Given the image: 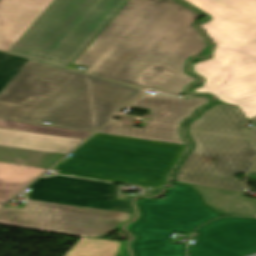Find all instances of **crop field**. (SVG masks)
<instances>
[{
	"label": "crop field",
	"instance_id": "8a807250",
	"mask_svg": "<svg viewBox=\"0 0 256 256\" xmlns=\"http://www.w3.org/2000/svg\"><path fill=\"white\" fill-rule=\"evenodd\" d=\"M200 16L173 0H129L74 64L179 97L197 80L184 71L188 58L208 46L192 27Z\"/></svg>",
	"mask_w": 256,
	"mask_h": 256
},
{
	"label": "crop field",
	"instance_id": "ac0d7876",
	"mask_svg": "<svg viewBox=\"0 0 256 256\" xmlns=\"http://www.w3.org/2000/svg\"><path fill=\"white\" fill-rule=\"evenodd\" d=\"M143 92L31 60L0 94V119L96 131Z\"/></svg>",
	"mask_w": 256,
	"mask_h": 256
},
{
	"label": "crop field",
	"instance_id": "34b2d1b8",
	"mask_svg": "<svg viewBox=\"0 0 256 256\" xmlns=\"http://www.w3.org/2000/svg\"><path fill=\"white\" fill-rule=\"evenodd\" d=\"M29 187L23 209L0 212L1 225L99 237L132 218L130 203L115 201L110 183L43 175Z\"/></svg>",
	"mask_w": 256,
	"mask_h": 256
},
{
	"label": "crop field",
	"instance_id": "412701ff",
	"mask_svg": "<svg viewBox=\"0 0 256 256\" xmlns=\"http://www.w3.org/2000/svg\"><path fill=\"white\" fill-rule=\"evenodd\" d=\"M212 15L200 25L215 44L214 58L195 65L206 78L195 91L225 100L256 90V0H186ZM241 108L247 119L256 116V92L224 101Z\"/></svg>",
	"mask_w": 256,
	"mask_h": 256
},
{
	"label": "crop field",
	"instance_id": "f4fd0767",
	"mask_svg": "<svg viewBox=\"0 0 256 256\" xmlns=\"http://www.w3.org/2000/svg\"><path fill=\"white\" fill-rule=\"evenodd\" d=\"M246 120L241 109L218 104L191 122L188 134L194 148L179 167L176 180L243 192L245 186L233 175L247 174L256 157V147L242 126Z\"/></svg>",
	"mask_w": 256,
	"mask_h": 256
},
{
	"label": "crop field",
	"instance_id": "dd49c442",
	"mask_svg": "<svg viewBox=\"0 0 256 256\" xmlns=\"http://www.w3.org/2000/svg\"><path fill=\"white\" fill-rule=\"evenodd\" d=\"M184 147L96 133L52 169L62 175L161 189Z\"/></svg>",
	"mask_w": 256,
	"mask_h": 256
},
{
	"label": "crop field",
	"instance_id": "e52e79f7",
	"mask_svg": "<svg viewBox=\"0 0 256 256\" xmlns=\"http://www.w3.org/2000/svg\"><path fill=\"white\" fill-rule=\"evenodd\" d=\"M126 2L55 0L9 52L67 67Z\"/></svg>",
	"mask_w": 256,
	"mask_h": 256
},
{
	"label": "crop field",
	"instance_id": "d8731c3e",
	"mask_svg": "<svg viewBox=\"0 0 256 256\" xmlns=\"http://www.w3.org/2000/svg\"><path fill=\"white\" fill-rule=\"evenodd\" d=\"M137 205L143 216L129 227L139 235L132 244L136 256H185V245L169 244L172 232L190 233L221 216L205 206L192 188L183 186L172 187L161 201L144 200Z\"/></svg>",
	"mask_w": 256,
	"mask_h": 256
},
{
	"label": "crop field",
	"instance_id": "5a996713",
	"mask_svg": "<svg viewBox=\"0 0 256 256\" xmlns=\"http://www.w3.org/2000/svg\"><path fill=\"white\" fill-rule=\"evenodd\" d=\"M207 103L208 96L184 100L161 94L143 95L130 106L151 109L144 128L125 127L121 121L112 119L97 132L186 145L180 135V124Z\"/></svg>",
	"mask_w": 256,
	"mask_h": 256
},
{
	"label": "crop field",
	"instance_id": "3316defc",
	"mask_svg": "<svg viewBox=\"0 0 256 256\" xmlns=\"http://www.w3.org/2000/svg\"><path fill=\"white\" fill-rule=\"evenodd\" d=\"M81 139L0 129V161L48 168Z\"/></svg>",
	"mask_w": 256,
	"mask_h": 256
},
{
	"label": "crop field",
	"instance_id": "28ad6ade",
	"mask_svg": "<svg viewBox=\"0 0 256 256\" xmlns=\"http://www.w3.org/2000/svg\"><path fill=\"white\" fill-rule=\"evenodd\" d=\"M202 232L189 256H246L256 253V219L225 218L213 221Z\"/></svg>",
	"mask_w": 256,
	"mask_h": 256
},
{
	"label": "crop field",
	"instance_id": "d1516ede",
	"mask_svg": "<svg viewBox=\"0 0 256 256\" xmlns=\"http://www.w3.org/2000/svg\"><path fill=\"white\" fill-rule=\"evenodd\" d=\"M53 1L0 0V49L8 51Z\"/></svg>",
	"mask_w": 256,
	"mask_h": 256
},
{
	"label": "crop field",
	"instance_id": "22f410ed",
	"mask_svg": "<svg viewBox=\"0 0 256 256\" xmlns=\"http://www.w3.org/2000/svg\"><path fill=\"white\" fill-rule=\"evenodd\" d=\"M193 187L203 195L207 205L223 215L256 217V199L243 197L239 192Z\"/></svg>",
	"mask_w": 256,
	"mask_h": 256
},
{
	"label": "crop field",
	"instance_id": "cbeb9de0",
	"mask_svg": "<svg viewBox=\"0 0 256 256\" xmlns=\"http://www.w3.org/2000/svg\"><path fill=\"white\" fill-rule=\"evenodd\" d=\"M45 170L0 162V203H5Z\"/></svg>",
	"mask_w": 256,
	"mask_h": 256
},
{
	"label": "crop field",
	"instance_id": "5142ce71",
	"mask_svg": "<svg viewBox=\"0 0 256 256\" xmlns=\"http://www.w3.org/2000/svg\"><path fill=\"white\" fill-rule=\"evenodd\" d=\"M66 256H129L126 243L81 239Z\"/></svg>",
	"mask_w": 256,
	"mask_h": 256
},
{
	"label": "crop field",
	"instance_id": "d9b57169",
	"mask_svg": "<svg viewBox=\"0 0 256 256\" xmlns=\"http://www.w3.org/2000/svg\"><path fill=\"white\" fill-rule=\"evenodd\" d=\"M0 128L31 131V132L60 135V136H67V137H74V138H81V139H85L90 134H92L90 132L55 128V127L38 126V125H31V124L4 121V120H0Z\"/></svg>",
	"mask_w": 256,
	"mask_h": 256
},
{
	"label": "crop field",
	"instance_id": "733c2abd",
	"mask_svg": "<svg viewBox=\"0 0 256 256\" xmlns=\"http://www.w3.org/2000/svg\"><path fill=\"white\" fill-rule=\"evenodd\" d=\"M28 61L29 59L0 52V92Z\"/></svg>",
	"mask_w": 256,
	"mask_h": 256
},
{
	"label": "crop field",
	"instance_id": "4a817a6b",
	"mask_svg": "<svg viewBox=\"0 0 256 256\" xmlns=\"http://www.w3.org/2000/svg\"><path fill=\"white\" fill-rule=\"evenodd\" d=\"M248 132L250 133V135L254 138V140L256 141V127L248 129ZM250 173H256V162L251 170Z\"/></svg>",
	"mask_w": 256,
	"mask_h": 256
},
{
	"label": "crop field",
	"instance_id": "bc2a9ffb",
	"mask_svg": "<svg viewBox=\"0 0 256 256\" xmlns=\"http://www.w3.org/2000/svg\"><path fill=\"white\" fill-rule=\"evenodd\" d=\"M252 121H256V119H255V120H252Z\"/></svg>",
	"mask_w": 256,
	"mask_h": 256
},
{
	"label": "crop field",
	"instance_id": "214f88e0",
	"mask_svg": "<svg viewBox=\"0 0 256 256\" xmlns=\"http://www.w3.org/2000/svg\"><path fill=\"white\" fill-rule=\"evenodd\" d=\"M0 208H1V205H0Z\"/></svg>",
	"mask_w": 256,
	"mask_h": 256
}]
</instances>
